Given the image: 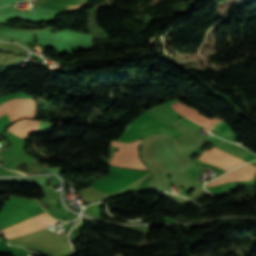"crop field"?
I'll return each mask as SVG.
<instances>
[{
	"mask_svg": "<svg viewBox=\"0 0 256 256\" xmlns=\"http://www.w3.org/2000/svg\"><path fill=\"white\" fill-rule=\"evenodd\" d=\"M112 143L113 142H111V145ZM139 143L140 140L129 143L114 142L113 146H118L120 151L114 153V156L110 164L119 167L147 170V168L144 165H142L138 157L137 147Z\"/></svg>",
	"mask_w": 256,
	"mask_h": 256,
	"instance_id": "crop-field-1",
	"label": "crop field"
},
{
	"mask_svg": "<svg viewBox=\"0 0 256 256\" xmlns=\"http://www.w3.org/2000/svg\"><path fill=\"white\" fill-rule=\"evenodd\" d=\"M7 113L10 122L13 123L21 118H34L33 99H13L0 105V116Z\"/></svg>",
	"mask_w": 256,
	"mask_h": 256,
	"instance_id": "crop-field-2",
	"label": "crop field"
},
{
	"mask_svg": "<svg viewBox=\"0 0 256 256\" xmlns=\"http://www.w3.org/2000/svg\"><path fill=\"white\" fill-rule=\"evenodd\" d=\"M208 130L212 129L213 126L220 121L217 118H214L212 120H209L201 115L198 114V111L193 110L187 106H185L184 104H182L179 101L170 103L168 105L162 106Z\"/></svg>",
	"mask_w": 256,
	"mask_h": 256,
	"instance_id": "crop-field-3",
	"label": "crop field"
},
{
	"mask_svg": "<svg viewBox=\"0 0 256 256\" xmlns=\"http://www.w3.org/2000/svg\"><path fill=\"white\" fill-rule=\"evenodd\" d=\"M140 137H145L154 133H161L177 138L181 133L178 130L168 127L165 123L151 117L137 124Z\"/></svg>",
	"mask_w": 256,
	"mask_h": 256,
	"instance_id": "crop-field-4",
	"label": "crop field"
},
{
	"mask_svg": "<svg viewBox=\"0 0 256 256\" xmlns=\"http://www.w3.org/2000/svg\"><path fill=\"white\" fill-rule=\"evenodd\" d=\"M255 172H256V167L250 164H247L232 170L231 172L227 173L226 175L212 182H209L207 187L219 185V184L233 181V180H250Z\"/></svg>",
	"mask_w": 256,
	"mask_h": 256,
	"instance_id": "crop-field-5",
	"label": "crop field"
},
{
	"mask_svg": "<svg viewBox=\"0 0 256 256\" xmlns=\"http://www.w3.org/2000/svg\"><path fill=\"white\" fill-rule=\"evenodd\" d=\"M37 123L38 121L35 120L22 119L8 127V130L24 138L27 134L31 132H36Z\"/></svg>",
	"mask_w": 256,
	"mask_h": 256,
	"instance_id": "crop-field-6",
	"label": "crop field"
},
{
	"mask_svg": "<svg viewBox=\"0 0 256 256\" xmlns=\"http://www.w3.org/2000/svg\"><path fill=\"white\" fill-rule=\"evenodd\" d=\"M1 156V155H0Z\"/></svg>",
	"mask_w": 256,
	"mask_h": 256,
	"instance_id": "crop-field-7",
	"label": "crop field"
}]
</instances>
